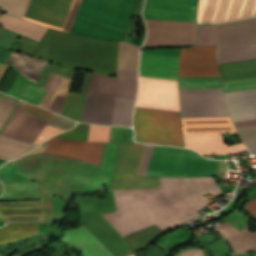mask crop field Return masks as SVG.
Masks as SVG:
<instances>
[{
  "label": "crop field",
  "mask_w": 256,
  "mask_h": 256,
  "mask_svg": "<svg viewBox=\"0 0 256 256\" xmlns=\"http://www.w3.org/2000/svg\"><path fill=\"white\" fill-rule=\"evenodd\" d=\"M144 0H82L69 32L122 41ZM130 24V23H129ZM129 29V26H128ZM128 29L123 41H127ZM81 37L48 28L32 56L62 66L115 76L119 42Z\"/></svg>",
  "instance_id": "obj_1"
},
{
  "label": "crop field",
  "mask_w": 256,
  "mask_h": 256,
  "mask_svg": "<svg viewBox=\"0 0 256 256\" xmlns=\"http://www.w3.org/2000/svg\"><path fill=\"white\" fill-rule=\"evenodd\" d=\"M160 188L114 191L117 212L103 217L122 237L155 224L163 231L201 216L208 199L221 194L213 177L160 178Z\"/></svg>",
  "instance_id": "obj_2"
},
{
  "label": "crop field",
  "mask_w": 256,
  "mask_h": 256,
  "mask_svg": "<svg viewBox=\"0 0 256 256\" xmlns=\"http://www.w3.org/2000/svg\"><path fill=\"white\" fill-rule=\"evenodd\" d=\"M103 147L104 143L74 141L56 135L47 141L44 152L100 167ZM46 153L22 157L16 164L17 172L36 182L49 222L57 219L49 195L70 200L79 193L83 162Z\"/></svg>",
  "instance_id": "obj_3"
},
{
  "label": "crop field",
  "mask_w": 256,
  "mask_h": 256,
  "mask_svg": "<svg viewBox=\"0 0 256 256\" xmlns=\"http://www.w3.org/2000/svg\"><path fill=\"white\" fill-rule=\"evenodd\" d=\"M218 162L207 160L188 149L155 145L147 176H214Z\"/></svg>",
  "instance_id": "obj_4"
},
{
  "label": "crop field",
  "mask_w": 256,
  "mask_h": 256,
  "mask_svg": "<svg viewBox=\"0 0 256 256\" xmlns=\"http://www.w3.org/2000/svg\"><path fill=\"white\" fill-rule=\"evenodd\" d=\"M29 1L0 0V8L23 18ZM79 3L80 0H31L24 18L68 32Z\"/></svg>",
  "instance_id": "obj_5"
},
{
  "label": "crop field",
  "mask_w": 256,
  "mask_h": 256,
  "mask_svg": "<svg viewBox=\"0 0 256 256\" xmlns=\"http://www.w3.org/2000/svg\"><path fill=\"white\" fill-rule=\"evenodd\" d=\"M135 141L184 147L179 112L136 107Z\"/></svg>",
  "instance_id": "obj_6"
},
{
  "label": "crop field",
  "mask_w": 256,
  "mask_h": 256,
  "mask_svg": "<svg viewBox=\"0 0 256 256\" xmlns=\"http://www.w3.org/2000/svg\"><path fill=\"white\" fill-rule=\"evenodd\" d=\"M219 76L215 46L181 49L178 77ZM179 89L221 88L219 77L178 78Z\"/></svg>",
  "instance_id": "obj_7"
},
{
  "label": "crop field",
  "mask_w": 256,
  "mask_h": 256,
  "mask_svg": "<svg viewBox=\"0 0 256 256\" xmlns=\"http://www.w3.org/2000/svg\"><path fill=\"white\" fill-rule=\"evenodd\" d=\"M143 144L119 143L114 164L111 189H135L158 187V178L136 176Z\"/></svg>",
  "instance_id": "obj_8"
},
{
  "label": "crop field",
  "mask_w": 256,
  "mask_h": 256,
  "mask_svg": "<svg viewBox=\"0 0 256 256\" xmlns=\"http://www.w3.org/2000/svg\"><path fill=\"white\" fill-rule=\"evenodd\" d=\"M256 44V19L217 25V47ZM216 45V26H198L196 46Z\"/></svg>",
  "instance_id": "obj_9"
},
{
  "label": "crop field",
  "mask_w": 256,
  "mask_h": 256,
  "mask_svg": "<svg viewBox=\"0 0 256 256\" xmlns=\"http://www.w3.org/2000/svg\"><path fill=\"white\" fill-rule=\"evenodd\" d=\"M147 36L144 46L165 47L194 45L195 22L145 20Z\"/></svg>",
  "instance_id": "obj_10"
},
{
  "label": "crop field",
  "mask_w": 256,
  "mask_h": 256,
  "mask_svg": "<svg viewBox=\"0 0 256 256\" xmlns=\"http://www.w3.org/2000/svg\"><path fill=\"white\" fill-rule=\"evenodd\" d=\"M182 118L229 116L221 89L179 90Z\"/></svg>",
  "instance_id": "obj_11"
},
{
  "label": "crop field",
  "mask_w": 256,
  "mask_h": 256,
  "mask_svg": "<svg viewBox=\"0 0 256 256\" xmlns=\"http://www.w3.org/2000/svg\"><path fill=\"white\" fill-rule=\"evenodd\" d=\"M136 106L179 111L176 81L139 78Z\"/></svg>",
  "instance_id": "obj_12"
},
{
  "label": "crop field",
  "mask_w": 256,
  "mask_h": 256,
  "mask_svg": "<svg viewBox=\"0 0 256 256\" xmlns=\"http://www.w3.org/2000/svg\"><path fill=\"white\" fill-rule=\"evenodd\" d=\"M27 103L20 101L13 115L9 119L2 134L14 139L33 143L47 120L34 116L32 114L22 112Z\"/></svg>",
  "instance_id": "obj_13"
},
{
  "label": "crop field",
  "mask_w": 256,
  "mask_h": 256,
  "mask_svg": "<svg viewBox=\"0 0 256 256\" xmlns=\"http://www.w3.org/2000/svg\"><path fill=\"white\" fill-rule=\"evenodd\" d=\"M222 82L256 78V59L218 65ZM224 92L256 88V79L222 83Z\"/></svg>",
  "instance_id": "obj_14"
},
{
  "label": "crop field",
  "mask_w": 256,
  "mask_h": 256,
  "mask_svg": "<svg viewBox=\"0 0 256 256\" xmlns=\"http://www.w3.org/2000/svg\"><path fill=\"white\" fill-rule=\"evenodd\" d=\"M136 92L137 80L119 79L95 73L92 75L89 93L135 100Z\"/></svg>",
  "instance_id": "obj_15"
},
{
  "label": "crop field",
  "mask_w": 256,
  "mask_h": 256,
  "mask_svg": "<svg viewBox=\"0 0 256 256\" xmlns=\"http://www.w3.org/2000/svg\"><path fill=\"white\" fill-rule=\"evenodd\" d=\"M179 57L141 53L140 76L177 80Z\"/></svg>",
  "instance_id": "obj_16"
},
{
  "label": "crop field",
  "mask_w": 256,
  "mask_h": 256,
  "mask_svg": "<svg viewBox=\"0 0 256 256\" xmlns=\"http://www.w3.org/2000/svg\"><path fill=\"white\" fill-rule=\"evenodd\" d=\"M185 147L202 155L233 154L246 150L242 143L227 146L221 134L183 136Z\"/></svg>",
  "instance_id": "obj_17"
},
{
  "label": "crop field",
  "mask_w": 256,
  "mask_h": 256,
  "mask_svg": "<svg viewBox=\"0 0 256 256\" xmlns=\"http://www.w3.org/2000/svg\"><path fill=\"white\" fill-rule=\"evenodd\" d=\"M224 96L234 122L256 119V89L227 92Z\"/></svg>",
  "instance_id": "obj_18"
},
{
  "label": "crop field",
  "mask_w": 256,
  "mask_h": 256,
  "mask_svg": "<svg viewBox=\"0 0 256 256\" xmlns=\"http://www.w3.org/2000/svg\"><path fill=\"white\" fill-rule=\"evenodd\" d=\"M115 97L88 95L82 120L85 123L112 125Z\"/></svg>",
  "instance_id": "obj_19"
},
{
  "label": "crop field",
  "mask_w": 256,
  "mask_h": 256,
  "mask_svg": "<svg viewBox=\"0 0 256 256\" xmlns=\"http://www.w3.org/2000/svg\"><path fill=\"white\" fill-rule=\"evenodd\" d=\"M196 7L189 5H171L146 3L144 19L195 21Z\"/></svg>",
  "instance_id": "obj_20"
},
{
  "label": "crop field",
  "mask_w": 256,
  "mask_h": 256,
  "mask_svg": "<svg viewBox=\"0 0 256 256\" xmlns=\"http://www.w3.org/2000/svg\"><path fill=\"white\" fill-rule=\"evenodd\" d=\"M183 135L237 133L229 117L182 119Z\"/></svg>",
  "instance_id": "obj_21"
},
{
  "label": "crop field",
  "mask_w": 256,
  "mask_h": 256,
  "mask_svg": "<svg viewBox=\"0 0 256 256\" xmlns=\"http://www.w3.org/2000/svg\"><path fill=\"white\" fill-rule=\"evenodd\" d=\"M61 240L74 245L86 256H113L83 225L64 231Z\"/></svg>",
  "instance_id": "obj_22"
},
{
  "label": "crop field",
  "mask_w": 256,
  "mask_h": 256,
  "mask_svg": "<svg viewBox=\"0 0 256 256\" xmlns=\"http://www.w3.org/2000/svg\"><path fill=\"white\" fill-rule=\"evenodd\" d=\"M214 229L227 239L234 254L256 251V231L249 232V225L239 232L226 221Z\"/></svg>",
  "instance_id": "obj_23"
},
{
  "label": "crop field",
  "mask_w": 256,
  "mask_h": 256,
  "mask_svg": "<svg viewBox=\"0 0 256 256\" xmlns=\"http://www.w3.org/2000/svg\"><path fill=\"white\" fill-rule=\"evenodd\" d=\"M206 1L207 0H200L199 10H198V21L199 22L201 21L202 14H203V11H204V8H205V5H206ZM244 1L245 0H243V4H244ZM228 3H229V0H219V4H218V7H217V10H216L215 17H214L213 21H218V20H223L224 19ZM230 3H231V0H230ZM230 3H229V6H228V9H227V13H228V10H229V7H230ZM216 4H217V0H208L207 1V5H206V8H205V11H204L203 18H202L201 22L212 20ZM241 4H242V0H232L228 16H227V13H226L227 19H226V16H225V19L228 20V19L237 18L238 14H239L240 7H241ZM243 4H242V7H243ZM242 7H241V10H240V14H241V11H242ZM240 14H239V17H240Z\"/></svg>",
  "instance_id": "obj_24"
},
{
  "label": "crop field",
  "mask_w": 256,
  "mask_h": 256,
  "mask_svg": "<svg viewBox=\"0 0 256 256\" xmlns=\"http://www.w3.org/2000/svg\"><path fill=\"white\" fill-rule=\"evenodd\" d=\"M70 79L50 74L44 89L49 90L39 106L60 112L64 98L70 85Z\"/></svg>",
  "instance_id": "obj_25"
},
{
  "label": "crop field",
  "mask_w": 256,
  "mask_h": 256,
  "mask_svg": "<svg viewBox=\"0 0 256 256\" xmlns=\"http://www.w3.org/2000/svg\"><path fill=\"white\" fill-rule=\"evenodd\" d=\"M139 47L120 42L116 76L137 79Z\"/></svg>",
  "instance_id": "obj_26"
},
{
  "label": "crop field",
  "mask_w": 256,
  "mask_h": 256,
  "mask_svg": "<svg viewBox=\"0 0 256 256\" xmlns=\"http://www.w3.org/2000/svg\"><path fill=\"white\" fill-rule=\"evenodd\" d=\"M46 62L14 51L8 60V63L14 65L21 75L34 82H37Z\"/></svg>",
  "instance_id": "obj_27"
},
{
  "label": "crop field",
  "mask_w": 256,
  "mask_h": 256,
  "mask_svg": "<svg viewBox=\"0 0 256 256\" xmlns=\"http://www.w3.org/2000/svg\"><path fill=\"white\" fill-rule=\"evenodd\" d=\"M0 23L3 25V27L11 31L18 32L37 42H39V40L47 30V27L29 22V21H25L13 16H9L6 14H3L0 17Z\"/></svg>",
  "instance_id": "obj_28"
},
{
  "label": "crop field",
  "mask_w": 256,
  "mask_h": 256,
  "mask_svg": "<svg viewBox=\"0 0 256 256\" xmlns=\"http://www.w3.org/2000/svg\"><path fill=\"white\" fill-rule=\"evenodd\" d=\"M91 74L92 73L85 71L80 93L69 92L70 96L68 95V101L66 100L67 104L65 103V109L63 108L64 112L62 111L63 116L79 121L81 109L86 99Z\"/></svg>",
  "instance_id": "obj_29"
},
{
  "label": "crop field",
  "mask_w": 256,
  "mask_h": 256,
  "mask_svg": "<svg viewBox=\"0 0 256 256\" xmlns=\"http://www.w3.org/2000/svg\"><path fill=\"white\" fill-rule=\"evenodd\" d=\"M28 203H38V201L7 202V203H0V205H8V204H28ZM36 207H41V212H42V213L7 214V215H2V214L0 213V217H2V216H14V215H36V214H45V213H44V209H43V205H42L41 201H39V204L0 206V210H3V209H17V208H36ZM1 219H3L6 224L21 223V222H47L45 215L2 217Z\"/></svg>",
  "instance_id": "obj_30"
},
{
  "label": "crop field",
  "mask_w": 256,
  "mask_h": 256,
  "mask_svg": "<svg viewBox=\"0 0 256 256\" xmlns=\"http://www.w3.org/2000/svg\"><path fill=\"white\" fill-rule=\"evenodd\" d=\"M37 145L20 142L0 134V159L9 161L17 159Z\"/></svg>",
  "instance_id": "obj_31"
},
{
  "label": "crop field",
  "mask_w": 256,
  "mask_h": 256,
  "mask_svg": "<svg viewBox=\"0 0 256 256\" xmlns=\"http://www.w3.org/2000/svg\"><path fill=\"white\" fill-rule=\"evenodd\" d=\"M218 64L256 58V45L238 48H217Z\"/></svg>",
  "instance_id": "obj_32"
},
{
  "label": "crop field",
  "mask_w": 256,
  "mask_h": 256,
  "mask_svg": "<svg viewBox=\"0 0 256 256\" xmlns=\"http://www.w3.org/2000/svg\"><path fill=\"white\" fill-rule=\"evenodd\" d=\"M35 224H14L0 229V243L9 242L21 237L37 234Z\"/></svg>",
  "instance_id": "obj_33"
},
{
  "label": "crop field",
  "mask_w": 256,
  "mask_h": 256,
  "mask_svg": "<svg viewBox=\"0 0 256 256\" xmlns=\"http://www.w3.org/2000/svg\"><path fill=\"white\" fill-rule=\"evenodd\" d=\"M161 232L162 231L160 229L153 225L124 237V240L126 241L130 250H136L146 246L154 237H156Z\"/></svg>",
  "instance_id": "obj_34"
},
{
  "label": "crop field",
  "mask_w": 256,
  "mask_h": 256,
  "mask_svg": "<svg viewBox=\"0 0 256 256\" xmlns=\"http://www.w3.org/2000/svg\"><path fill=\"white\" fill-rule=\"evenodd\" d=\"M135 101L116 99L113 125L132 126V113Z\"/></svg>",
  "instance_id": "obj_35"
},
{
  "label": "crop field",
  "mask_w": 256,
  "mask_h": 256,
  "mask_svg": "<svg viewBox=\"0 0 256 256\" xmlns=\"http://www.w3.org/2000/svg\"><path fill=\"white\" fill-rule=\"evenodd\" d=\"M189 240L190 233L188 232V229L184 226L161 237L155 244L171 253L174 247Z\"/></svg>",
  "instance_id": "obj_36"
},
{
  "label": "crop field",
  "mask_w": 256,
  "mask_h": 256,
  "mask_svg": "<svg viewBox=\"0 0 256 256\" xmlns=\"http://www.w3.org/2000/svg\"><path fill=\"white\" fill-rule=\"evenodd\" d=\"M110 127L90 125L87 140L109 142Z\"/></svg>",
  "instance_id": "obj_37"
},
{
  "label": "crop field",
  "mask_w": 256,
  "mask_h": 256,
  "mask_svg": "<svg viewBox=\"0 0 256 256\" xmlns=\"http://www.w3.org/2000/svg\"><path fill=\"white\" fill-rule=\"evenodd\" d=\"M132 137L133 130H131L130 128L111 127L110 142H134Z\"/></svg>",
  "instance_id": "obj_38"
},
{
  "label": "crop field",
  "mask_w": 256,
  "mask_h": 256,
  "mask_svg": "<svg viewBox=\"0 0 256 256\" xmlns=\"http://www.w3.org/2000/svg\"><path fill=\"white\" fill-rule=\"evenodd\" d=\"M89 125L78 123L75 128L67 132L58 134L69 139L86 140Z\"/></svg>",
  "instance_id": "obj_39"
},
{
  "label": "crop field",
  "mask_w": 256,
  "mask_h": 256,
  "mask_svg": "<svg viewBox=\"0 0 256 256\" xmlns=\"http://www.w3.org/2000/svg\"><path fill=\"white\" fill-rule=\"evenodd\" d=\"M75 124L76 122L70 121L56 114H54L48 122V125H52L65 130L71 129Z\"/></svg>",
  "instance_id": "obj_40"
},
{
  "label": "crop field",
  "mask_w": 256,
  "mask_h": 256,
  "mask_svg": "<svg viewBox=\"0 0 256 256\" xmlns=\"http://www.w3.org/2000/svg\"><path fill=\"white\" fill-rule=\"evenodd\" d=\"M15 102L0 98V129L13 109Z\"/></svg>",
  "instance_id": "obj_41"
},
{
  "label": "crop field",
  "mask_w": 256,
  "mask_h": 256,
  "mask_svg": "<svg viewBox=\"0 0 256 256\" xmlns=\"http://www.w3.org/2000/svg\"><path fill=\"white\" fill-rule=\"evenodd\" d=\"M65 130H61L55 127H51L46 125V127L43 129V131L40 133V135L37 137V139L34 141V144H40L47 138Z\"/></svg>",
  "instance_id": "obj_42"
},
{
  "label": "crop field",
  "mask_w": 256,
  "mask_h": 256,
  "mask_svg": "<svg viewBox=\"0 0 256 256\" xmlns=\"http://www.w3.org/2000/svg\"><path fill=\"white\" fill-rule=\"evenodd\" d=\"M17 34L7 31L3 28L0 29V45L10 48Z\"/></svg>",
  "instance_id": "obj_43"
},
{
  "label": "crop field",
  "mask_w": 256,
  "mask_h": 256,
  "mask_svg": "<svg viewBox=\"0 0 256 256\" xmlns=\"http://www.w3.org/2000/svg\"><path fill=\"white\" fill-rule=\"evenodd\" d=\"M153 145H146L137 175L146 176V167L152 152Z\"/></svg>",
  "instance_id": "obj_44"
},
{
  "label": "crop field",
  "mask_w": 256,
  "mask_h": 256,
  "mask_svg": "<svg viewBox=\"0 0 256 256\" xmlns=\"http://www.w3.org/2000/svg\"><path fill=\"white\" fill-rule=\"evenodd\" d=\"M24 111H27V112L32 113L34 115L40 116V117L45 118L47 120H49L51 118V116L53 115V113H51V112H48L46 110L40 109V108L35 107V106H32L30 104H28L26 106Z\"/></svg>",
  "instance_id": "obj_45"
},
{
  "label": "crop field",
  "mask_w": 256,
  "mask_h": 256,
  "mask_svg": "<svg viewBox=\"0 0 256 256\" xmlns=\"http://www.w3.org/2000/svg\"><path fill=\"white\" fill-rule=\"evenodd\" d=\"M36 45H37V42L24 37L23 41L18 47V50L31 54L34 48L36 47Z\"/></svg>",
  "instance_id": "obj_46"
},
{
  "label": "crop field",
  "mask_w": 256,
  "mask_h": 256,
  "mask_svg": "<svg viewBox=\"0 0 256 256\" xmlns=\"http://www.w3.org/2000/svg\"><path fill=\"white\" fill-rule=\"evenodd\" d=\"M254 3H255V0H246V1H245V4H244V7H243V11H242L241 17H247V16H250V15H251V12H252ZM255 8H256V3H255V6H254V9H253V12H252V15H251V16L254 15ZM255 15H256V12H255ZM255 15H254V16H255ZM241 17H240V18H241Z\"/></svg>",
  "instance_id": "obj_47"
},
{
  "label": "crop field",
  "mask_w": 256,
  "mask_h": 256,
  "mask_svg": "<svg viewBox=\"0 0 256 256\" xmlns=\"http://www.w3.org/2000/svg\"><path fill=\"white\" fill-rule=\"evenodd\" d=\"M146 2L197 5L198 0H147Z\"/></svg>",
  "instance_id": "obj_48"
},
{
  "label": "crop field",
  "mask_w": 256,
  "mask_h": 256,
  "mask_svg": "<svg viewBox=\"0 0 256 256\" xmlns=\"http://www.w3.org/2000/svg\"><path fill=\"white\" fill-rule=\"evenodd\" d=\"M245 210L256 219V199L245 205Z\"/></svg>",
  "instance_id": "obj_49"
},
{
  "label": "crop field",
  "mask_w": 256,
  "mask_h": 256,
  "mask_svg": "<svg viewBox=\"0 0 256 256\" xmlns=\"http://www.w3.org/2000/svg\"><path fill=\"white\" fill-rule=\"evenodd\" d=\"M179 256H204V254L202 250L192 249L181 252Z\"/></svg>",
  "instance_id": "obj_50"
},
{
  "label": "crop field",
  "mask_w": 256,
  "mask_h": 256,
  "mask_svg": "<svg viewBox=\"0 0 256 256\" xmlns=\"http://www.w3.org/2000/svg\"><path fill=\"white\" fill-rule=\"evenodd\" d=\"M47 244H49V243H47V241H45V242H43V243H41V244H39V245H37V246H35V247L29 249V250H26V251H24V252H22V253H20V254H18V255H16V256H25V255H27V254H29V253H31V252H33V251H35V250H37V249H39V248L45 246V245H47Z\"/></svg>",
  "instance_id": "obj_51"
},
{
  "label": "crop field",
  "mask_w": 256,
  "mask_h": 256,
  "mask_svg": "<svg viewBox=\"0 0 256 256\" xmlns=\"http://www.w3.org/2000/svg\"><path fill=\"white\" fill-rule=\"evenodd\" d=\"M0 190H2V185H1V183H0Z\"/></svg>",
  "instance_id": "obj_52"
}]
</instances>
